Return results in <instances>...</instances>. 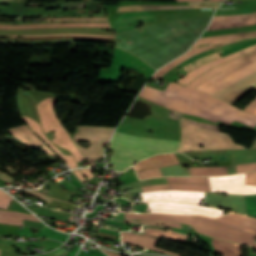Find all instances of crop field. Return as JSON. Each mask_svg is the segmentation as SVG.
<instances>
[{"mask_svg": "<svg viewBox=\"0 0 256 256\" xmlns=\"http://www.w3.org/2000/svg\"><path fill=\"white\" fill-rule=\"evenodd\" d=\"M139 96L182 114L228 125L237 120L252 128L256 126V116L180 84L170 83L164 92L145 86Z\"/></svg>", "mask_w": 256, "mask_h": 256, "instance_id": "obj_1", "label": "crop field"}, {"mask_svg": "<svg viewBox=\"0 0 256 256\" xmlns=\"http://www.w3.org/2000/svg\"><path fill=\"white\" fill-rule=\"evenodd\" d=\"M179 143L175 141L143 139L115 132L108 148L114 150L109 164L113 165L112 169L124 171L134 160L140 161L152 155L173 152Z\"/></svg>", "mask_w": 256, "mask_h": 256, "instance_id": "obj_2", "label": "crop field"}, {"mask_svg": "<svg viewBox=\"0 0 256 256\" xmlns=\"http://www.w3.org/2000/svg\"><path fill=\"white\" fill-rule=\"evenodd\" d=\"M182 143L176 152L200 150L197 145L206 146L203 149L245 148L235 144L230 136L219 133V127L206 125L182 118Z\"/></svg>", "mask_w": 256, "mask_h": 256, "instance_id": "obj_3", "label": "crop field"}, {"mask_svg": "<svg viewBox=\"0 0 256 256\" xmlns=\"http://www.w3.org/2000/svg\"><path fill=\"white\" fill-rule=\"evenodd\" d=\"M54 99L55 98H48L42 101L41 103L37 104L38 112H39V115L42 121V126L44 128L45 133L55 129L56 138L52 141L55 142L57 145L65 149H68L74 155L77 162L85 160L84 156L76 148L69 134L60 125L53 109Z\"/></svg>", "mask_w": 256, "mask_h": 256, "instance_id": "obj_4", "label": "crop field"}, {"mask_svg": "<svg viewBox=\"0 0 256 256\" xmlns=\"http://www.w3.org/2000/svg\"><path fill=\"white\" fill-rule=\"evenodd\" d=\"M114 128L79 126V134H75L74 141H89L91 147L84 149L78 144V148L89 160L92 167H96L95 159L102 158V148L108 144Z\"/></svg>", "mask_w": 256, "mask_h": 256, "instance_id": "obj_5", "label": "crop field"}, {"mask_svg": "<svg viewBox=\"0 0 256 256\" xmlns=\"http://www.w3.org/2000/svg\"><path fill=\"white\" fill-rule=\"evenodd\" d=\"M193 227L197 232L201 234H205L218 239L248 244L251 246H253L255 243L253 240V236L255 235L209 220L197 218Z\"/></svg>", "mask_w": 256, "mask_h": 256, "instance_id": "obj_6", "label": "crop field"}, {"mask_svg": "<svg viewBox=\"0 0 256 256\" xmlns=\"http://www.w3.org/2000/svg\"><path fill=\"white\" fill-rule=\"evenodd\" d=\"M246 67L256 71V57L248 59V60H246V61H244V62H242L240 64H237V65L227 69L226 71H224V72H222V73H220V74L210 78V80L213 83H215L220 89L215 84H213L209 79L206 80L204 83H202L199 87H197V89H199V90H201L203 92H207V93L212 95L216 90L219 89L218 91H220L223 88L233 84L234 82H236V81L242 79L243 77H245V76H247V75H249V74L254 72L253 71V72H251V73H249V74L239 78L240 76H242V75L252 71V70H250V69H248ZM244 68H246V69H244ZM242 69H244V70H242ZM240 70H242V71H240ZM238 71H240V72H238ZM236 72H238V73H236ZM234 73H236V74H234ZM232 74H234V75H232ZM230 75H232V76H230ZM228 76H230V77H228ZM226 77H228V78H226ZM224 78H226V79H224ZM237 78H239V79H237ZM222 79H224V80H222ZM235 79H237V80H235ZM233 80H235V81H233ZM220 81L222 83H224L225 85L227 83L231 82V81H233V82H231V83H229V84H227L225 86Z\"/></svg>", "mask_w": 256, "mask_h": 256, "instance_id": "obj_7", "label": "crop field"}, {"mask_svg": "<svg viewBox=\"0 0 256 256\" xmlns=\"http://www.w3.org/2000/svg\"><path fill=\"white\" fill-rule=\"evenodd\" d=\"M212 191L250 195L256 193V186L245 185V173L209 178Z\"/></svg>", "mask_w": 256, "mask_h": 256, "instance_id": "obj_8", "label": "crop field"}, {"mask_svg": "<svg viewBox=\"0 0 256 256\" xmlns=\"http://www.w3.org/2000/svg\"><path fill=\"white\" fill-rule=\"evenodd\" d=\"M148 205L151 212L157 213H177L186 215L201 214L209 217L222 215L221 210L203 206L175 204L164 201L148 202Z\"/></svg>", "mask_w": 256, "mask_h": 256, "instance_id": "obj_9", "label": "crop field"}, {"mask_svg": "<svg viewBox=\"0 0 256 256\" xmlns=\"http://www.w3.org/2000/svg\"><path fill=\"white\" fill-rule=\"evenodd\" d=\"M143 201L166 200L175 202H185L191 204L199 203L203 198L204 192L183 191V190H165L156 192L141 193Z\"/></svg>", "mask_w": 256, "mask_h": 256, "instance_id": "obj_10", "label": "crop field"}, {"mask_svg": "<svg viewBox=\"0 0 256 256\" xmlns=\"http://www.w3.org/2000/svg\"><path fill=\"white\" fill-rule=\"evenodd\" d=\"M252 24H256V13L238 16H214L211 25L206 31L241 27Z\"/></svg>", "mask_w": 256, "mask_h": 256, "instance_id": "obj_11", "label": "crop field"}, {"mask_svg": "<svg viewBox=\"0 0 256 256\" xmlns=\"http://www.w3.org/2000/svg\"><path fill=\"white\" fill-rule=\"evenodd\" d=\"M254 77H256V72H254L253 74L245 77L244 79L234 83L233 85L225 88L224 90L214 94L213 96L220 99L221 97H223L225 94H227L228 92H230L234 88L240 86L241 84L247 82L248 80H250ZM255 86H256V78H254V79L248 81L247 83L241 85L240 87L234 89L233 91L228 93L226 96H224L221 100L231 104Z\"/></svg>", "mask_w": 256, "mask_h": 256, "instance_id": "obj_12", "label": "crop field"}, {"mask_svg": "<svg viewBox=\"0 0 256 256\" xmlns=\"http://www.w3.org/2000/svg\"><path fill=\"white\" fill-rule=\"evenodd\" d=\"M195 217L209 219L212 221H216L234 228H238V229L256 234V219L242 216L239 214L232 213L230 215H226L217 219H211V218L202 217V216H195Z\"/></svg>", "mask_w": 256, "mask_h": 256, "instance_id": "obj_13", "label": "crop field"}, {"mask_svg": "<svg viewBox=\"0 0 256 256\" xmlns=\"http://www.w3.org/2000/svg\"><path fill=\"white\" fill-rule=\"evenodd\" d=\"M9 134L17 138L18 140L26 143L32 148L38 149L41 145L43 146V150L46 154L55 156L59 158L56 154H54L45 144H43L32 132L31 130L26 126H20L13 129H10L8 131ZM60 159V158H59Z\"/></svg>", "mask_w": 256, "mask_h": 256, "instance_id": "obj_14", "label": "crop field"}, {"mask_svg": "<svg viewBox=\"0 0 256 256\" xmlns=\"http://www.w3.org/2000/svg\"><path fill=\"white\" fill-rule=\"evenodd\" d=\"M121 238H122V242L124 243L137 245L145 248H150L152 250L159 251L168 255L181 256L180 254L172 253V252L155 247L158 239L154 237L122 232Z\"/></svg>", "mask_w": 256, "mask_h": 256, "instance_id": "obj_15", "label": "crop field"}, {"mask_svg": "<svg viewBox=\"0 0 256 256\" xmlns=\"http://www.w3.org/2000/svg\"><path fill=\"white\" fill-rule=\"evenodd\" d=\"M255 49H256V44L253 45V46H250V47H248V48H246L244 50H241L239 52L242 55H244V54H246L248 52H251V51H253ZM239 52H235V53H233V54H231V55H229L227 57H224V58L218 59L216 61L209 62V63H207L205 65H202V66L198 67L197 69H195V70L191 71L190 73H188L184 78L178 80L177 83H181V84L186 85L187 83H189L191 80H193L195 77H197L199 74L205 72L206 70H208V69H210V68H212V67H214V66H216V65H218L220 63H223V62H225L227 60H230L232 58H235V57L241 55Z\"/></svg>", "mask_w": 256, "mask_h": 256, "instance_id": "obj_16", "label": "crop field"}, {"mask_svg": "<svg viewBox=\"0 0 256 256\" xmlns=\"http://www.w3.org/2000/svg\"><path fill=\"white\" fill-rule=\"evenodd\" d=\"M126 219H147V220H162L171 221L185 224H193L196 218L178 216V215H168V214H128L126 213Z\"/></svg>", "mask_w": 256, "mask_h": 256, "instance_id": "obj_17", "label": "crop field"}, {"mask_svg": "<svg viewBox=\"0 0 256 256\" xmlns=\"http://www.w3.org/2000/svg\"><path fill=\"white\" fill-rule=\"evenodd\" d=\"M24 121L33 129V131L40 136L58 155H60L70 169L77 168V165L72 156L63 155L59 149L45 136L39 123L35 122L29 117L22 116Z\"/></svg>", "mask_w": 256, "mask_h": 256, "instance_id": "obj_18", "label": "crop field"}, {"mask_svg": "<svg viewBox=\"0 0 256 256\" xmlns=\"http://www.w3.org/2000/svg\"><path fill=\"white\" fill-rule=\"evenodd\" d=\"M179 164L178 160L175 158L174 154L171 155H161L146 161H143L134 167L136 171L157 168V167H164L170 165Z\"/></svg>", "mask_w": 256, "mask_h": 256, "instance_id": "obj_19", "label": "crop field"}, {"mask_svg": "<svg viewBox=\"0 0 256 256\" xmlns=\"http://www.w3.org/2000/svg\"><path fill=\"white\" fill-rule=\"evenodd\" d=\"M253 56H256V51L252 52V53H249L243 57H240L238 59H235L231 62H228L226 64H222L214 69H211L209 71H207L206 73H204L202 76H200L199 78L195 79L194 81H192L190 84H188L187 86H190V87H197L198 85H200L202 82H204L207 78H210L218 73H220L221 71L239 63V62H242L248 58H251Z\"/></svg>", "mask_w": 256, "mask_h": 256, "instance_id": "obj_20", "label": "crop field"}, {"mask_svg": "<svg viewBox=\"0 0 256 256\" xmlns=\"http://www.w3.org/2000/svg\"><path fill=\"white\" fill-rule=\"evenodd\" d=\"M251 37H256V31L200 38L194 45L205 44V43L213 44V43L227 42V41H233V40L251 38Z\"/></svg>", "mask_w": 256, "mask_h": 256, "instance_id": "obj_21", "label": "crop field"}, {"mask_svg": "<svg viewBox=\"0 0 256 256\" xmlns=\"http://www.w3.org/2000/svg\"><path fill=\"white\" fill-rule=\"evenodd\" d=\"M234 42H237V41H234ZM230 43H233V42H229V43H224V44H219V46L221 45H226V44H230ZM215 46L212 45V46H208L206 48H200V49H193L185 54H183L181 57H179L178 59L170 62L169 64H167L164 68L160 69L157 71V73L152 77L153 79H159L161 78L168 70H170L172 67L176 66L177 64H179L180 62H182L183 60L199 53V52H202V51H205L207 49H210V48H214Z\"/></svg>", "mask_w": 256, "mask_h": 256, "instance_id": "obj_22", "label": "crop field"}, {"mask_svg": "<svg viewBox=\"0 0 256 256\" xmlns=\"http://www.w3.org/2000/svg\"><path fill=\"white\" fill-rule=\"evenodd\" d=\"M22 219L38 221L35 217L17 212L0 211V222L23 226Z\"/></svg>", "mask_w": 256, "mask_h": 256, "instance_id": "obj_23", "label": "crop field"}, {"mask_svg": "<svg viewBox=\"0 0 256 256\" xmlns=\"http://www.w3.org/2000/svg\"><path fill=\"white\" fill-rule=\"evenodd\" d=\"M213 246L218 254L223 256H239L241 255L239 245H234L230 243H226L223 241L215 240L213 242Z\"/></svg>", "mask_w": 256, "mask_h": 256, "instance_id": "obj_24", "label": "crop field"}, {"mask_svg": "<svg viewBox=\"0 0 256 256\" xmlns=\"http://www.w3.org/2000/svg\"><path fill=\"white\" fill-rule=\"evenodd\" d=\"M209 6H186V5H132L119 7L118 12L133 11V10H151V9H174V8H196Z\"/></svg>", "mask_w": 256, "mask_h": 256, "instance_id": "obj_25", "label": "crop field"}, {"mask_svg": "<svg viewBox=\"0 0 256 256\" xmlns=\"http://www.w3.org/2000/svg\"><path fill=\"white\" fill-rule=\"evenodd\" d=\"M145 229H153V230H161L164 231V227H160V226H151V225H147ZM153 230H145L144 234L146 235H151V236H163L166 237L168 239H173V240H181V241H185L187 236L186 235H182V234H178V233H173L170 232L169 233H165V232H161V231H153Z\"/></svg>", "mask_w": 256, "mask_h": 256, "instance_id": "obj_26", "label": "crop field"}, {"mask_svg": "<svg viewBox=\"0 0 256 256\" xmlns=\"http://www.w3.org/2000/svg\"><path fill=\"white\" fill-rule=\"evenodd\" d=\"M192 175L196 176H215L226 174L221 167L216 168H189Z\"/></svg>", "mask_w": 256, "mask_h": 256, "instance_id": "obj_27", "label": "crop field"}, {"mask_svg": "<svg viewBox=\"0 0 256 256\" xmlns=\"http://www.w3.org/2000/svg\"><path fill=\"white\" fill-rule=\"evenodd\" d=\"M222 51V50H221ZM221 51L217 52V53H214V54H211V55H208V56H205V57H202L184 67H182L187 73L191 70H193L194 68L206 63V62H209L211 60H214V59H217V58H220V56L218 54L221 53Z\"/></svg>", "mask_w": 256, "mask_h": 256, "instance_id": "obj_28", "label": "crop field"}, {"mask_svg": "<svg viewBox=\"0 0 256 256\" xmlns=\"http://www.w3.org/2000/svg\"><path fill=\"white\" fill-rule=\"evenodd\" d=\"M62 24H36V25H0L4 29H29V28H57Z\"/></svg>", "mask_w": 256, "mask_h": 256, "instance_id": "obj_29", "label": "crop field"}, {"mask_svg": "<svg viewBox=\"0 0 256 256\" xmlns=\"http://www.w3.org/2000/svg\"><path fill=\"white\" fill-rule=\"evenodd\" d=\"M168 181L169 183L209 184L207 178H197V177H186V178L168 177Z\"/></svg>", "mask_w": 256, "mask_h": 256, "instance_id": "obj_30", "label": "crop field"}, {"mask_svg": "<svg viewBox=\"0 0 256 256\" xmlns=\"http://www.w3.org/2000/svg\"><path fill=\"white\" fill-rule=\"evenodd\" d=\"M169 189H183V190H196V191H210L209 185H182V184H169Z\"/></svg>", "mask_w": 256, "mask_h": 256, "instance_id": "obj_31", "label": "crop field"}, {"mask_svg": "<svg viewBox=\"0 0 256 256\" xmlns=\"http://www.w3.org/2000/svg\"><path fill=\"white\" fill-rule=\"evenodd\" d=\"M138 21L149 22V21H153V18H152V16L134 18V19H129V20H124V21H120V22L111 23V26L113 27V29H116V28H120V27H124V26H127V25L134 24Z\"/></svg>", "mask_w": 256, "mask_h": 256, "instance_id": "obj_32", "label": "crop field"}, {"mask_svg": "<svg viewBox=\"0 0 256 256\" xmlns=\"http://www.w3.org/2000/svg\"><path fill=\"white\" fill-rule=\"evenodd\" d=\"M19 228V226L0 224V234L17 236Z\"/></svg>", "mask_w": 256, "mask_h": 256, "instance_id": "obj_33", "label": "crop field"}, {"mask_svg": "<svg viewBox=\"0 0 256 256\" xmlns=\"http://www.w3.org/2000/svg\"><path fill=\"white\" fill-rule=\"evenodd\" d=\"M137 175H138L139 179H145V178H149V177H160V176H162V173H161L160 169L158 168V169L140 171V172H137Z\"/></svg>", "mask_w": 256, "mask_h": 256, "instance_id": "obj_34", "label": "crop field"}, {"mask_svg": "<svg viewBox=\"0 0 256 256\" xmlns=\"http://www.w3.org/2000/svg\"><path fill=\"white\" fill-rule=\"evenodd\" d=\"M63 27H110L109 23H69Z\"/></svg>", "mask_w": 256, "mask_h": 256, "instance_id": "obj_35", "label": "crop field"}, {"mask_svg": "<svg viewBox=\"0 0 256 256\" xmlns=\"http://www.w3.org/2000/svg\"><path fill=\"white\" fill-rule=\"evenodd\" d=\"M13 198L8 196L6 193L0 191V207L8 209Z\"/></svg>", "mask_w": 256, "mask_h": 256, "instance_id": "obj_36", "label": "crop field"}, {"mask_svg": "<svg viewBox=\"0 0 256 256\" xmlns=\"http://www.w3.org/2000/svg\"><path fill=\"white\" fill-rule=\"evenodd\" d=\"M143 192L168 189V184L141 187Z\"/></svg>", "mask_w": 256, "mask_h": 256, "instance_id": "obj_37", "label": "crop field"}, {"mask_svg": "<svg viewBox=\"0 0 256 256\" xmlns=\"http://www.w3.org/2000/svg\"><path fill=\"white\" fill-rule=\"evenodd\" d=\"M256 170V163L237 165V172Z\"/></svg>", "mask_w": 256, "mask_h": 256, "instance_id": "obj_38", "label": "crop field"}, {"mask_svg": "<svg viewBox=\"0 0 256 256\" xmlns=\"http://www.w3.org/2000/svg\"><path fill=\"white\" fill-rule=\"evenodd\" d=\"M246 184L256 185V172L246 173Z\"/></svg>", "mask_w": 256, "mask_h": 256, "instance_id": "obj_39", "label": "crop field"}, {"mask_svg": "<svg viewBox=\"0 0 256 256\" xmlns=\"http://www.w3.org/2000/svg\"><path fill=\"white\" fill-rule=\"evenodd\" d=\"M23 223H24V226L35 227V228H43L45 226L42 223L33 222V221H25V220H23Z\"/></svg>", "mask_w": 256, "mask_h": 256, "instance_id": "obj_40", "label": "crop field"}, {"mask_svg": "<svg viewBox=\"0 0 256 256\" xmlns=\"http://www.w3.org/2000/svg\"><path fill=\"white\" fill-rule=\"evenodd\" d=\"M124 222H133V221L125 220ZM138 223H153V224H161V225H165V226H171V227H178V228H181V225H179V224H173V223L146 222V221H142V222H138Z\"/></svg>", "mask_w": 256, "mask_h": 256, "instance_id": "obj_41", "label": "crop field"}, {"mask_svg": "<svg viewBox=\"0 0 256 256\" xmlns=\"http://www.w3.org/2000/svg\"><path fill=\"white\" fill-rule=\"evenodd\" d=\"M254 89H256V87H255ZM245 111L256 115V100H255L254 102H252V103L245 109Z\"/></svg>", "mask_w": 256, "mask_h": 256, "instance_id": "obj_42", "label": "crop field"}, {"mask_svg": "<svg viewBox=\"0 0 256 256\" xmlns=\"http://www.w3.org/2000/svg\"><path fill=\"white\" fill-rule=\"evenodd\" d=\"M52 39H83V40H97V39H84V38H50V39H35V40H29V41L52 40ZM0 40H5V39H0Z\"/></svg>", "mask_w": 256, "mask_h": 256, "instance_id": "obj_43", "label": "crop field"}, {"mask_svg": "<svg viewBox=\"0 0 256 256\" xmlns=\"http://www.w3.org/2000/svg\"><path fill=\"white\" fill-rule=\"evenodd\" d=\"M82 171L84 172L88 180L94 177L91 169H82Z\"/></svg>", "mask_w": 256, "mask_h": 256, "instance_id": "obj_44", "label": "crop field"}, {"mask_svg": "<svg viewBox=\"0 0 256 256\" xmlns=\"http://www.w3.org/2000/svg\"><path fill=\"white\" fill-rule=\"evenodd\" d=\"M57 37H73V36H57ZM37 38H50V37H37ZM85 38H97V37H85ZM6 39H35V38H6ZM98 39H107V38H98Z\"/></svg>", "mask_w": 256, "mask_h": 256, "instance_id": "obj_45", "label": "crop field"}, {"mask_svg": "<svg viewBox=\"0 0 256 256\" xmlns=\"http://www.w3.org/2000/svg\"><path fill=\"white\" fill-rule=\"evenodd\" d=\"M0 178L3 179V180H5V181H8V182H10V183L15 180V179H13V178H11V177L5 175V174H3V175L1 174V175H0Z\"/></svg>", "mask_w": 256, "mask_h": 256, "instance_id": "obj_46", "label": "crop field"}, {"mask_svg": "<svg viewBox=\"0 0 256 256\" xmlns=\"http://www.w3.org/2000/svg\"><path fill=\"white\" fill-rule=\"evenodd\" d=\"M189 4H214V5H220V3L215 2H188Z\"/></svg>", "mask_w": 256, "mask_h": 256, "instance_id": "obj_47", "label": "crop field"}, {"mask_svg": "<svg viewBox=\"0 0 256 256\" xmlns=\"http://www.w3.org/2000/svg\"><path fill=\"white\" fill-rule=\"evenodd\" d=\"M26 192H28V193H30V194H32V195L38 197V198H41V199H43V200H45V201H47V202H49V203H50V201H51V199H48V198L39 196V195H37V194H35V193L31 192V191H26Z\"/></svg>", "mask_w": 256, "mask_h": 256, "instance_id": "obj_48", "label": "crop field"}, {"mask_svg": "<svg viewBox=\"0 0 256 256\" xmlns=\"http://www.w3.org/2000/svg\"><path fill=\"white\" fill-rule=\"evenodd\" d=\"M77 177L81 180V182L85 181V178L82 176L79 170L74 171Z\"/></svg>", "mask_w": 256, "mask_h": 256, "instance_id": "obj_49", "label": "crop field"}, {"mask_svg": "<svg viewBox=\"0 0 256 256\" xmlns=\"http://www.w3.org/2000/svg\"><path fill=\"white\" fill-rule=\"evenodd\" d=\"M50 36H56V35H50ZM76 36H96V35H76ZM4 37H26V36H4ZM104 37H112V36H104Z\"/></svg>", "mask_w": 256, "mask_h": 256, "instance_id": "obj_50", "label": "crop field"}, {"mask_svg": "<svg viewBox=\"0 0 256 256\" xmlns=\"http://www.w3.org/2000/svg\"><path fill=\"white\" fill-rule=\"evenodd\" d=\"M60 43H72V42H60ZM9 44H21V43H9ZM44 44H58V43H44ZM23 45H35V44H23Z\"/></svg>", "mask_w": 256, "mask_h": 256, "instance_id": "obj_51", "label": "crop field"}, {"mask_svg": "<svg viewBox=\"0 0 256 256\" xmlns=\"http://www.w3.org/2000/svg\"><path fill=\"white\" fill-rule=\"evenodd\" d=\"M178 2H183V1H203V0H177ZM207 1H219V0H207Z\"/></svg>", "mask_w": 256, "mask_h": 256, "instance_id": "obj_52", "label": "crop field"}, {"mask_svg": "<svg viewBox=\"0 0 256 256\" xmlns=\"http://www.w3.org/2000/svg\"><path fill=\"white\" fill-rule=\"evenodd\" d=\"M103 251H104V250H103ZM104 252H106L107 254L113 255V256H119V255H116V254L110 253V252H108V251H104Z\"/></svg>", "mask_w": 256, "mask_h": 256, "instance_id": "obj_53", "label": "crop field"}, {"mask_svg": "<svg viewBox=\"0 0 256 256\" xmlns=\"http://www.w3.org/2000/svg\"><path fill=\"white\" fill-rule=\"evenodd\" d=\"M223 9H240V8L236 7V8H223ZM218 10H222V9H218Z\"/></svg>", "mask_w": 256, "mask_h": 256, "instance_id": "obj_54", "label": "crop field"}, {"mask_svg": "<svg viewBox=\"0 0 256 256\" xmlns=\"http://www.w3.org/2000/svg\"><path fill=\"white\" fill-rule=\"evenodd\" d=\"M104 20H107V19H104ZM46 21H61V20H46Z\"/></svg>", "mask_w": 256, "mask_h": 256, "instance_id": "obj_55", "label": "crop field"}, {"mask_svg": "<svg viewBox=\"0 0 256 256\" xmlns=\"http://www.w3.org/2000/svg\"><path fill=\"white\" fill-rule=\"evenodd\" d=\"M5 1H17V0H5ZM19 1H22V0H19Z\"/></svg>", "mask_w": 256, "mask_h": 256, "instance_id": "obj_56", "label": "crop field"}, {"mask_svg": "<svg viewBox=\"0 0 256 256\" xmlns=\"http://www.w3.org/2000/svg\"><path fill=\"white\" fill-rule=\"evenodd\" d=\"M255 248H256V244H255V246H254Z\"/></svg>", "mask_w": 256, "mask_h": 256, "instance_id": "obj_57", "label": "crop field"}]
</instances>
